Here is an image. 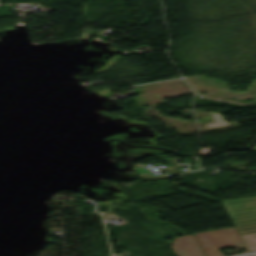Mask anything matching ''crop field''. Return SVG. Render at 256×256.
<instances>
[{
  "label": "crop field",
  "mask_w": 256,
  "mask_h": 256,
  "mask_svg": "<svg viewBox=\"0 0 256 256\" xmlns=\"http://www.w3.org/2000/svg\"><path fill=\"white\" fill-rule=\"evenodd\" d=\"M206 256H223L220 247H245L234 228L196 234Z\"/></svg>",
  "instance_id": "obj_1"
},
{
  "label": "crop field",
  "mask_w": 256,
  "mask_h": 256,
  "mask_svg": "<svg viewBox=\"0 0 256 256\" xmlns=\"http://www.w3.org/2000/svg\"><path fill=\"white\" fill-rule=\"evenodd\" d=\"M172 248L178 256H204L194 235L174 239Z\"/></svg>",
  "instance_id": "obj_2"
},
{
  "label": "crop field",
  "mask_w": 256,
  "mask_h": 256,
  "mask_svg": "<svg viewBox=\"0 0 256 256\" xmlns=\"http://www.w3.org/2000/svg\"><path fill=\"white\" fill-rule=\"evenodd\" d=\"M253 256H256V254H254Z\"/></svg>",
  "instance_id": "obj_4"
},
{
  "label": "crop field",
  "mask_w": 256,
  "mask_h": 256,
  "mask_svg": "<svg viewBox=\"0 0 256 256\" xmlns=\"http://www.w3.org/2000/svg\"><path fill=\"white\" fill-rule=\"evenodd\" d=\"M249 151H256V145L253 147V148H251V149H248Z\"/></svg>",
  "instance_id": "obj_3"
},
{
  "label": "crop field",
  "mask_w": 256,
  "mask_h": 256,
  "mask_svg": "<svg viewBox=\"0 0 256 256\" xmlns=\"http://www.w3.org/2000/svg\"><path fill=\"white\" fill-rule=\"evenodd\" d=\"M245 256H250V255H245Z\"/></svg>",
  "instance_id": "obj_5"
}]
</instances>
